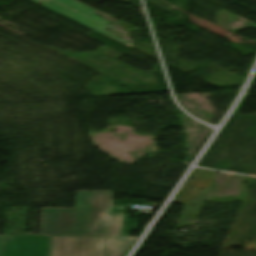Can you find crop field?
<instances>
[{"label": "crop field", "instance_id": "ac0d7876", "mask_svg": "<svg viewBox=\"0 0 256 256\" xmlns=\"http://www.w3.org/2000/svg\"><path fill=\"white\" fill-rule=\"evenodd\" d=\"M109 237L52 236L50 256H107Z\"/></svg>", "mask_w": 256, "mask_h": 256}, {"label": "crop field", "instance_id": "34b2d1b8", "mask_svg": "<svg viewBox=\"0 0 256 256\" xmlns=\"http://www.w3.org/2000/svg\"><path fill=\"white\" fill-rule=\"evenodd\" d=\"M41 5L110 38H113L127 46L133 45L103 31L106 27H108L109 21L94 14L93 12L96 10L89 8L75 0H48Z\"/></svg>", "mask_w": 256, "mask_h": 256}, {"label": "crop field", "instance_id": "f4fd0767", "mask_svg": "<svg viewBox=\"0 0 256 256\" xmlns=\"http://www.w3.org/2000/svg\"><path fill=\"white\" fill-rule=\"evenodd\" d=\"M48 251H49V236H39L37 256H48Z\"/></svg>", "mask_w": 256, "mask_h": 256}, {"label": "crop field", "instance_id": "8a807250", "mask_svg": "<svg viewBox=\"0 0 256 256\" xmlns=\"http://www.w3.org/2000/svg\"><path fill=\"white\" fill-rule=\"evenodd\" d=\"M112 192H78L76 209H42L40 235L110 236L109 255L123 256L135 237H121L123 213L111 214Z\"/></svg>", "mask_w": 256, "mask_h": 256}, {"label": "crop field", "instance_id": "e52e79f7", "mask_svg": "<svg viewBox=\"0 0 256 256\" xmlns=\"http://www.w3.org/2000/svg\"><path fill=\"white\" fill-rule=\"evenodd\" d=\"M31 1H33V2H35V3H39V2H41V1H43V0H31Z\"/></svg>", "mask_w": 256, "mask_h": 256}, {"label": "crop field", "instance_id": "412701ff", "mask_svg": "<svg viewBox=\"0 0 256 256\" xmlns=\"http://www.w3.org/2000/svg\"><path fill=\"white\" fill-rule=\"evenodd\" d=\"M38 236L5 235L3 256H36Z\"/></svg>", "mask_w": 256, "mask_h": 256}, {"label": "crop field", "instance_id": "dd49c442", "mask_svg": "<svg viewBox=\"0 0 256 256\" xmlns=\"http://www.w3.org/2000/svg\"><path fill=\"white\" fill-rule=\"evenodd\" d=\"M2 241H3V236L0 235V256H1V250H2Z\"/></svg>", "mask_w": 256, "mask_h": 256}]
</instances>
